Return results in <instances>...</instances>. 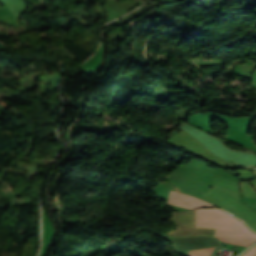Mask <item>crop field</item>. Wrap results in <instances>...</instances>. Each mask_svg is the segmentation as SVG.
<instances>
[{
    "label": "crop field",
    "instance_id": "1",
    "mask_svg": "<svg viewBox=\"0 0 256 256\" xmlns=\"http://www.w3.org/2000/svg\"><path fill=\"white\" fill-rule=\"evenodd\" d=\"M196 227L216 228L215 236L223 243L249 246L256 241V234L230 214L212 208L195 210Z\"/></svg>",
    "mask_w": 256,
    "mask_h": 256
},
{
    "label": "crop field",
    "instance_id": "2",
    "mask_svg": "<svg viewBox=\"0 0 256 256\" xmlns=\"http://www.w3.org/2000/svg\"><path fill=\"white\" fill-rule=\"evenodd\" d=\"M213 249H214V247L213 248L202 249V250H197V251H191V252H189V255L190 256H210Z\"/></svg>",
    "mask_w": 256,
    "mask_h": 256
},
{
    "label": "crop field",
    "instance_id": "3",
    "mask_svg": "<svg viewBox=\"0 0 256 256\" xmlns=\"http://www.w3.org/2000/svg\"><path fill=\"white\" fill-rule=\"evenodd\" d=\"M242 256H256V246L246 251Z\"/></svg>",
    "mask_w": 256,
    "mask_h": 256
}]
</instances>
